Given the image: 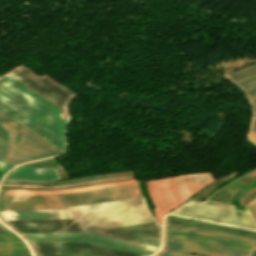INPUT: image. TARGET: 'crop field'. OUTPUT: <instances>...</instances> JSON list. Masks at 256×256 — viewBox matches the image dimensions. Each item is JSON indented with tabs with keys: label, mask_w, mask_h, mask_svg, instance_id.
Wrapping results in <instances>:
<instances>
[{
	"label": "crop field",
	"mask_w": 256,
	"mask_h": 256,
	"mask_svg": "<svg viewBox=\"0 0 256 256\" xmlns=\"http://www.w3.org/2000/svg\"><path fill=\"white\" fill-rule=\"evenodd\" d=\"M92 232L116 236L156 246H160L161 244V226L158 225L157 222Z\"/></svg>",
	"instance_id": "obj_11"
},
{
	"label": "crop field",
	"mask_w": 256,
	"mask_h": 256,
	"mask_svg": "<svg viewBox=\"0 0 256 256\" xmlns=\"http://www.w3.org/2000/svg\"><path fill=\"white\" fill-rule=\"evenodd\" d=\"M7 75L67 113L68 102L74 96L71 93L45 77L38 78L22 67L15 69Z\"/></svg>",
	"instance_id": "obj_7"
},
{
	"label": "crop field",
	"mask_w": 256,
	"mask_h": 256,
	"mask_svg": "<svg viewBox=\"0 0 256 256\" xmlns=\"http://www.w3.org/2000/svg\"><path fill=\"white\" fill-rule=\"evenodd\" d=\"M12 256H32V255H12Z\"/></svg>",
	"instance_id": "obj_32"
},
{
	"label": "crop field",
	"mask_w": 256,
	"mask_h": 256,
	"mask_svg": "<svg viewBox=\"0 0 256 256\" xmlns=\"http://www.w3.org/2000/svg\"><path fill=\"white\" fill-rule=\"evenodd\" d=\"M37 256H140L84 243L31 244Z\"/></svg>",
	"instance_id": "obj_8"
},
{
	"label": "crop field",
	"mask_w": 256,
	"mask_h": 256,
	"mask_svg": "<svg viewBox=\"0 0 256 256\" xmlns=\"http://www.w3.org/2000/svg\"><path fill=\"white\" fill-rule=\"evenodd\" d=\"M251 256H256V249H255L254 252L251 254Z\"/></svg>",
	"instance_id": "obj_31"
},
{
	"label": "crop field",
	"mask_w": 256,
	"mask_h": 256,
	"mask_svg": "<svg viewBox=\"0 0 256 256\" xmlns=\"http://www.w3.org/2000/svg\"><path fill=\"white\" fill-rule=\"evenodd\" d=\"M248 99L251 116L256 117V64L222 75Z\"/></svg>",
	"instance_id": "obj_12"
},
{
	"label": "crop field",
	"mask_w": 256,
	"mask_h": 256,
	"mask_svg": "<svg viewBox=\"0 0 256 256\" xmlns=\"http://www.w3.org/2000/svg\"><path fill=\"white\" fill-rule=\"evenodd\" d=\"M255 128H256V118L252 119L250 130Z\"/></svg>",
	"instance_id": "obj_30"
},
{
	"label": "crop field",
	"mask_w": 256,
	"mask_h": 256,
	"mask_svg": "<svg viewBox=\"0 0 256 256\" xmlns=\"http://www.w3.org/2000/svg\"><path fill=\"white\" fill-rule=\"evenodd\" d=\"M171 213L256 230V219L248 208L241 211L188 201Z\"/></svg>",
	"instance_id": "obj_6"
},
{
	"label": "crop field",
	"mask_w": 256,
	"mask_h": 256,
	"mask_svg": "<svg viewBox=\"0 0 256 256\" xmlns=\"http://www.w3.org/2000/svg\"><path fill=\"white\" fill-rule=\"evenodd\" d=\"M134 180L129 181H118V182H109V183H102L98 185H93L84 188H77V189H68V190H58V191H39V190H1L0 195H43V194H62V193H72V192H81V191H89V190H96L111 186H117L127 183H133Z\"/></svg>",
	"instance_id": "obj_19"
},
{
	"label": "crop field",
	"mask_w": 256,
	"mask_h": 256,
	"mask_svg": "<svg viewBox=\"0 0 256 256\" xmlns=\"http://www.w3.org/2000/svg\"><path fill=\"white\" fill-rule=\"evenodd\" d=\"M255 202V204H256V201H254Z\"/></svg>",
	"instance_id": "obj_34"
},
{
	"label": "crop field",
	"mask_w": 256,
	"mask_h": 256,
	"mask_svg": "<svg viewBox=\"0 0 256 256\" xmlns=\"http://www.w3.org/2000/svg\"><path fill=\"white\" fill-rule=\"evenodd\" d=\"M254 144H256V138L251 140Z\"/></svg>",
	"instance_id": "obj_33"
},
{
	"label": "crop field",
	"mask_w": 256,
	"mask_h": 256,
	"mask_svg": "<svg viewBox=\"0 0 256 256\" xmlns=\"http://www.w3.org/2000/svg\"><path fill=\"white\" fill-rule=\"evenodd\" d=\"M0 232H12L0 223Z\"/></svg>",
	"instance_id": "obj_29"
},
{
	"label": "crop field",
	"mask_w": 256,
	"mask_h": 256,
	"mask_svg": "<svg viewBox=\"0 0 256 256\" xmlns=\"http://www.w3.org/2000/svg\"><path fill=\"white\" fill-rule=\"evenodd\" d=\"M7 177L23 178L44 181L59 180L55 170L20 167L11 172Z\"/></svg>",
	"instance_id": "obj_21"
},
{
	"label": "crop field",
	"mask_w": 256,
	"mask_h": 256,
	"mask_svg": "<svg viewBox=\"0 0 256 256\" xmlns=\"http://www.w3.org/2000/svg\"><path fill=\"white\" fill-rule=\"evenodd\" d=\"M11 167H13L12 165H10L9 163L5 162L4 160H2L0 158V179L2 178V176L5 174V172L10 169Z\"/></svg>",
	"instance_id": "obj_24"
},
{
	"label": "crop field",
	"mask_w": 256,
	"mask_h": 256,
	"mask_svg": "<svg viewBox=\"0 0 256 256\" xmlns=\"http://www.w3.org/2000/svg\"><path fill=\"white\" fill-rule=\"evenodd\" d=\"M61 198L68 206L86 204L91 202L116 200L141 196L135 183L111 187L96 191L63 194Z\"/></svg>",
	"instance_id": "obj_9"
},
{
	"label": "crop field",
	"mask_w": 256,
	"mask_h": 256,
	"mask_svg": "<svg viewBox=\"0 0 256 256\" xmlns=\"http://www.w3.org/2000/svg\"><path fill=\"white\" fill-rule=\"evenodd\" d=\"M166 222L190 226V227H196V228H201V229H207V230H212V231H218V232H223V233H229V234H234V235H240V236H245V237L256 238V232H254V231L225 227V226H220V225H214V224H210V223H205V222H201V221L186 219V218L172 216V215L167 216Z\"/></svg>",
	"instance_id": "obj_15"
},
{
	"label": "crop field",
	"mask_w": 256,
	"mask_h": 256,
	"mask_svg": "<svg viewBox=\"0 0 256 256\" xmlns=\"http://www.w3.org/2000/svg\"><path fill=\"white\" fill-rule=\"evenodd\" d=\"M158 256H195V255H190V254H183V253H178L170 250L164 249Z\"/></svg>",
	"instance_id": "obj_23"
},
{
	"label": "crop field",
	"mask_w": 256,
	"mask_h": 256,
	"mask_svg": "<svg viewBox=\"0 0 256 256\" xmlns=\"http://www.w3.org/2000/svg\"><path fill=\"white\" fill-rule=\"evenodd\" d=\"M166 245L217 256H248L256 239L166 223Z\"/></svg>",
	"instance_id": "obj_1"
},
{
	"label": "crop field",
	"mask_w": 256,
	"mask_h": 256,
	"mask_svg": "<svg viewBox=\"0 0 256 256\" xmlns=\"http://www.w3.org/2000/svg\"><path fill=\"white\" fill-rule=\"evenodd\" d=\"M204 203H210V204H215V205H221V206H226V207H232V208H234V206H229V205L217 203V202H214V201H211V200H208V199H206V200L204 201Z\"/></svg>",
	"instance_id": "obj_26"
},
{
	"label": "crop field",
	"mask_w": 256,
	"mask_h": 256,
	"mask_svg": "<svg viewBox=\"0 0 256 256\" xmlns=\"http://www.w3.org/2000/svg\"><path fill=\"white\" fill-rule=\"evenodd\" d=\"M21 234L24 237L85 236V237H89V238H94V239H98V240H103V241H107V242L130 246V247L148 250V251H152V252H155L157 249H159V248L152 247V246L128 242V241H124V240H119V239H115V238L91 234V233H87V232H52V233H21Z\"/></svg>",
	"instance_id": "obj_17"
},
{
	"label": "crop field",
	"mask_w": 256,
	"mask_h": 256,
	"mask_svg": "<svg viewBox=\"0 0 256 256\" xmlns=\"http://www.w3.org/2000/svg\"><path fill=\"white\" fill-rule=\"evenodd\" d=\"M250 209L256 217V205L254 204V202L250 205Z\"/></svg>",
	"instance_id": "obj_28"
},
{
	"label": "crop field",
	"mask_w": 256,
	"mask_h": 256,
	"mask_svg": "<svg viewBox=\"0 0 256 256\" xmlns=\"http://www.w3.org/2000/svg\"><path fill=\"white\" fill-rule=\"evenodd\" d=\"M0 111L5 113L12 119L16 120L17 122H19L20 124H22L23 126L28 128L29 130H31L32 132H34L35 134H37L44 140L48 141L49 143H51L52 145H54L61 151H63V152L65 151L64 143H62L61 141H59L58 139H56L49 133L45 132L44 130H42L41 128H39L38 126H36L35 124H33L32 122H30L29 120H27L26 118H24L23 116H21L20 114H18L17 112H15L14 110L7 107L6 105H4L1 102H0Z\"/></svg>",
	"instance_id": "obj_18"
},
{
	"label": "crop field",
	"mask_w": 256,
	"mask_h": 256,
	"mask_svg": "<svg viewBox=\"0 0 256 256\" xmlns=\"http://www.w3.org/2000/svg\"><path fill=\"white\" fill-rule=\"evenodd\" d=\"M70 209L88 231L155 221L142 197L73 206Z\"/></svg>",
	"instance_id": "obj_2"
},
{
	"label": "crop field",
	"mask_w": 256,
	"mask_h": 256,
	"mask_svg": "<svg viewBox=\"0 0 256 256\" xmlns=\"http://www.w3.org/2000/svg\"><path fill=\"white\" fill-rule=\"evenodd\" d=\"M67 209L58 195L0 196V210Z\"/></svg>",
	"instance_id": "obj_10"
},
{
	"label": "crop field",
	"mask_w": 256,
	"mask_h": 256,
	"mask_svg": "<svg viewBox=\"0 0 256 256\" xmlns=\"http://www.w3.org/2000/svg\"><path fill=\"white\" fill-rule=\"evenodd\" d=\"M27 240L30 243L84 242V243L103 246V247H107V248H112V249L122 250V251H126V252L136 253V254H140V255H145V256H149V255L153 254L152 252L134 249V248H130V247H125V246H121V245H116V244H112V243H107V242H103V241H98V240H94V239H89V238H85V237L27 238Z\"/></svg>",
	"instance_id": "obj_16"
},
{
	"label": "crop field",
	"mask_w": 256,
	"mask_h": 256,
	"mask_svg": "<svg viewBox=\"0 0 256 256\" xmlns=\"http://www.w3.org/2000/svg\"><path fill=\"white\" fill-rule=\"evenodd\" d=\"M31 254L26 244L14 233H0V255Z\"/></svg>",
	"instance_id": "obj_20"
},
{
	"label": "crop field",
	"mask_w": 256,
	"mask_h": 256,
	"mask_svg": "<svg viewBox=\"0 0 256 256\" xmlns=\"http://www.w3.org/2000/svg\"><path fill=\"white\" fill-rule=\"evenodd\" d=\"M19 232L83 231L76 219L6 221Z\"/></svg>",
	"instance_id": "obj_13"
},
{
	"label": "crop field",
	"mask_w": 256,
	"mask_h": 256,
	"mask_svg": "<svg viewBox=\"0 0 256 256\" xmlns=\"http://www.w3.org/2000/svg\"><path fill=\"white\" fill-rule=\"evenodd\" d=\"M165 248L175 250V251L189 252V253L201 254V255H206V256H212V255H207V254H202V253H197V252H192V251H187V250H182V249H177V248H172V247H167V246H165Z\"/></svg>",
	"instance_id": "obj_25"
},
{
	"label": "crop field",
	"mask_w": 256,
	"mask_h": 256,
	"mask_svg": "<svg viewBox=\"0 0 256 256\" xmlns=\"http://www.w3.org/2000/svg\"><path fill=\"white\" fill-rule=\"evenodd\" d=\"M0 157L14 166L26 161H31L30 158L23 155L2 140H0Z\"/></svg>",
	"instance_id": "obj_22"
},
{
	"label": "crop field",
	"mask_w": 256,
	"mask_h": 256,
	"mask_svg": "<svg viewBox=\"0 0 256 256\" xmlns=\"http://www.w3.org/2000/svg\"><path fill=\"white\" fill-rule=\"evenodd\" d=\"M3 220L74 218L69 210L0 211Z\"/></svg>",
	"instance_id": "obj_14"
},
{
	"label": "crop field",
	"mask_w": 256,
	"mask_h": 256,
	"mask_svg": "<svg viewBox=\"0 0 256 256\" xmlns=\"http://www.w3.org/2000/svg\"><path fill=\"white\" fill-rule=\"evenodd\" d=\"M255 137H256V130L250 131L248 134V138L251 139V138H255Z\"/></svg>",
	"instance_id": "obj_27"
},
{
	"label": "crop field",
	"mask_w": 256,
	"mask_h": 256,
	"mask_svg": "<svg viewBox=\"0 0 256 256\" xmlns=\"http://www.w3.org/2000/svg\"><path fill=\"white\" fill-rule=\"evenodd\" d=\"M4 122L20 133L8 127ZM0 139L33 160L63 153L2 112H0Z\"/></svg>",
	"instance_id": "obj_5"
},
{
	"label": "crop field",
	"mask_w": 256,
	"mask_h": 256,
	"mask_svg": "<svg viewBox=\"0 0 256 256\" xmlns=\"http://www.w3.org/2000/svg\"><path fill=\"white\" fill-rule=\"evenodd\" d=\"M3 87L17 97L23 99L27 104L4 90ZM0 92L20 105L0 95L1 102L64 142L63 130L67 118L62 116L61 110L57 109L6 75L0 78Z\"/></svg>",
	"instance_id": "obj_3"
},
{
	"label": "crop field",
	"mask_w": 256,
	"mask_h": 256,
	"mask_svg": "<svg viewBox=\"0 0 256 256\" xmlns=\"http://www.w3.org/2000/svg\"><path fill=\"white\" fill-rule=\"evenodd\" d=\"M214 180L210 172L146 181L147 189L156 207L154 215L159 223L171 208L182 203L208 182Z\"/></svg>",
	"instance_id": "obj_4"
}]
</instances>
